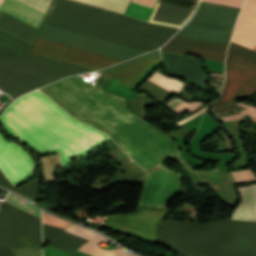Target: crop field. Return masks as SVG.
I'll return each mask as SVG.
<instances>
[{"mask_svg":"<svg viewBox=\"0 0 256 256\" xmlns=\"http://www.w3.org/2000/svg\"><path fill=\"white\" fill-rule=\"evenodd\" d=\"M109 77L100 73L95 85L77 76L68 77L44 88L70 115L107 133L109 136L142 120L127 111L123 98L103 92ZM147 174L172 156L178 144L152 124L142 120L110 136ZM183 175L161 166L147 176L139 206L166 209Z\"/></svg>","mask_w":256,"mask_h":256,"instance_id":"1","label":"crop field"},{"mask_svg":"<svg viewBox=\"0 0 256 256\" xmlns=\"http://www.w3.org/2000/svg\"><path fill=\"white\" fill-rule=\"evenodd\" d=\"M0 121L13 138L36 153L81 124L40 91L17 99L4 111ZM96 130L83 123L38 154L59 152L61 166L91 151L107 138Z\"/></svg>","mask_w":256,"mask_h":256,"instance_id":"2","label":"crop field"},{"mask_svg":"<svg viewBox=\"0 0 256 256\" xmlns=\"http://www.w3.org/2000/svg\"><path fill=\"white\" fill-rule=\"evenodd\" d=\"M43 22L148 51L160 47L178 30L69 0H52Z\"/></svg>","mask_w":256,"mask_h":256,"instance_id":"3","label":"crop field"},{"mask_svg":"<svg viewBox=\"0 0 256 256\" xmlns=\"http://www.w3.org/2000/svg\"><path fill=\"white\" fill-rule=\"evenodd\" d=\"M157 244L183 256H256V223L224 220L185 224L165 220L157 224Z\"/></svg>","mask_w":256,"mask_h":256,"instance_id":"4","label":"crop field"},{"mask_svg":"<svg viewBox=\"0 0 256 256\" xmlns=\"http://www.w3.org/2000/svg\"><path fill=\"white\" fill-rule=\"evenodd\" d=\"M28 47L0 30V89L12 97L61 77L92 71L28 54Z\"/></svg>","mask_w":256,"mask_h":256,"instance_id":"5","label":"crop field"},{"mask_svg":"<svg viewBox=\"0 0 256 256\" xmlns=\"http://www.w3.org/2000/svg\"><path fill=\"white\" fill-rule=\"evenodd\" d=\"M232 41L250 49L256 44V0H246ZM233 42L226 57V81L218 100L211 103L213 109L256 91V52Z\"/></svg>","mask_w":256,"mask_h":256,"instance_id":"6","label":"crop field"},{"mask_svg":"<svg viewBox=\"0 0 256 256\" xmlns=\"http://www.w3.org/2000/svg\"><path fill=\"white\" fill-rule=\"evenodd\" d=\"M238 11L200 2L194 17L176 35L228 44Z\"/></svg>","mask_w":256,"mask_h":256,"instance_id":"7","label":"crop field"},{"mask_svg":"<svg viewBox=\"0 0 256 256\" xmlns=\"http://www.w3.org/2000/svg\"><path fill=\"white\" fill-rule=\"evenodd\" d=\"M0 247L41 249L40 220L4 202L0 210Z\"/></svg>","mask_w":256,"mask_h":256,"instance_id":"8","label":"crop field"},{"mask_svg":"<svg viewBox=\"0 0 256 256\" xmlns=\"http://www.w3.org/2000/svg\"><path fill=\"white\" fill-rule=\"evenodd\" d=\"M36 37L123 60H127L148 52L43 22L36 33Z\"/></svg>","mask_w":256,"mask_h":256,"instance_id":"9","label":"crop field"},{"mask_svg":"<svg viewBox=\"0 0 256 256\" xmlns=\"http://www.w3.org/2000/svg\"><path fill=\"white\" fill-rule=\"evenodd\" d=\"M154 61L160 63V54L158 49L149 54L111 66L99 72L110 76L130 88ZM113 79H110L105 89L106 92L115 93L125 98L126 101L138 95Z\"/></svg>","mask_w":256,"mask_h":256,"instance_id":"10","label":"crop field"},{"mask_svg":"<svg viewBox=\"0 0 256 256\" xmlns=\"http://www.w3.org/2000/svg\"><path fill=\"white\" fill-rule=\"evenodd\" d=\"M32 43L43 45V46H46V47H50V48H53V49H57V50H60V51L75 54V55H78V56H82V57H85V58H89V59H92V60H96V61H99V62L111 64V65H114L116 63H119V62L123 61V60L111 58V57H108V56H104V55H100V54H96V53H92V52L72 48V47H69V46H65V45H62V44L54 43V42L47 41V40L40 39V38H36V37L34 38ZM39 45L32 44L28 52L33 53V54H37V55H41V56H44V57L52 58V59H55V60L67 62V63H70V64L87 67V68H90V69H93V70H97V69H101V68H105V67L110 66V65H106V64H103V63H99V62H96V61H92V60L85 59V58H82V57H78V56H75V55L67 54V53H64V52H60V51L53 50V49H50V48H46V47L39 46Z\"/></svg>","mask_w":256,"mask_h":256,"instance_id":"11","label":"crop field"},{"mask_svg":"<svg viewBox=\"0 0 256 256\" xmlns=\"http://www.w3.org/2000/svg\"><path fill=\"white\" fill-rule=\"evenodd\" d=\"M0 170L17 186L30 177L34 170L32 157L15 143L0 134Z\"/></svg>","mask_w":256,"mask_h":256,"instance_id":"12","label":"crop field"},{"mask_svg":"<svg viewBox=\"0 0 256 256\" xmlns=\"http://www.w3.org/2000/svg\"><path fill=\"white\" fill-rule=\"evenodd\" d=\"M170 211L139 207L136 213L112 215L106 225L156 241L155 228Z\"/></svg>","mask_w":256,"mask_h":256,"instance_id":"13","label":"crop field"},{"mask_svg":"<svg viewBox=\"0 0 256 256\" xmlns=\"http://www.w3.org/2000/svg\"><path fill=\"white\" fill-rule=\"evenodd\" d=\"M227 46L228 45L174 36L161 50L180 54H194L198 57L224 62Z\"/></svg>","mask_w":256,"mask_h":256,"instance_id":"14","label":"crop field"},{"mask_svg":"<svg viewBox=\"0 0 256 256\" xmlns=\"http://www.w3.org/2000/svg\"><path fill=\"white\" fill-rule=\"evenodd\" d=\"M49 3L47 0H5L1 11L38 28Z\"/></svg>","mask_w":256,"mask_h":256,"instance_id":"15","label":"crop field"},{"mask_svg":"<svg viewBox=\"0 0 256 256\" xmlns=\"http://www.w3.org/2000/svg\"><path fill=\"white\" fill-rule=\"evenodd\" d=\"M190 176L193 180L197 190L205 183L209 188H211L214 192L224 185L227 184V181L224 179L223 175L219 171V169L214 166V168L210 171H200L193 170L190 165L185 161L180 149L178 153L172 157Z\"/></svg>","mask_w":256,"mask_h":256,"instance_id":"16","label":"crop field"},{"mask_svg":"<svg viewBox=\"0 0 256 256\" xmlns=\"http://www.w3.org/2000/svg\"><path fill=\"white\" fill-rule=\"evenodd\" d=\"M65 231L89 240L88 242H85L84 244H82V246L78 249V251L88 254L90 256H125L128 254V252L120 248L113 251L101 249L96 244L99 241L108 240V239L100 236L99 234L91 230L78 226L76 224L70 225L68 228L65 229Z\"/></svg>","mask_w":256,"mask_h":256,"instance_id":"17","label":"crop field"},{"mask_svg":"<svg viewBox=\"0 0 256 256\" xmlns=\"http://www.w3.org/2000/svg\"><path fill=\"white\" fill-rule=\"evenodd\" d=\"M85 241L87 240L67 233L63 229L43 225V243L48 246L71 253Z\"/></svg>","mask_w":256,"mask_h":256,"instance_id":"18","label":"crop field"},{"mask_svg":"<svg viewBox=\"0 0 256 256\" xmlns=\"http://www.w3.org/2000/svg\"><path fill=\"white\" fill-rule=\"evenodd\" d=\"M238 189L242 202L232 214L231 219L256 220V185Z\"/></svg>","mask_w":256,"mask_h":256,"instance_id":"19","label":"crop field"},{"mask_svg":"<svg viewBox=\"0 0 256 256\" xmlns=\"http://www.w3.org/2000/svg\"><path fill=\"white\" fill-rule=\"evenodd\" d=\"M0 29L31 43L36 29L0 12Z\"/></svg>","mask_w":256,"mask_h":256,"instance_id":"20","label":"crop field"},{"mask_svg":"<svg viewBox=\"0 0 256 256\" xmlns=\"http://www.w3.org/2000/svg\"><path fill=\"white\" fill-rule=\"evenodd\" d=\"M155 2L156 0H132L125 14L147 21Z\"/></svg>","mask_w":256,"mask_h":256,"instance_id":"21","label":"crop field"},{"mask_svg":"<svg viewBox=\"0 0 256 256\" xmlns=\"http://www.w3.org/2000/svg\"><path fill=\"white\" fill-rule=\"evenodd\" d=\"M38 182H39V179L35 178L32 181L15 189L0 171V185L1 186L9 188L15 192L20 193V194L26 195V196L30 197L31 199H33L34 201L37 200Z\"/></svg>","mask_w":256,"mask_h":256,"instance_id":"22","label":"crop field"},{"mask_svg":"<svg viewBox=\"0 0 256 256\" xmlns=\"http://www.w3.org/2000/svg\"><path fill=\"white\" fill-rule=\"evenodd\" d=\"M109 10L124 13L130 0H76Z\"/></svg>","mask_w":256,"mask_h":256,"instance_id":"23","label":"crop field"},{"mask_svg":"<svg viewBox=\"0 0 256 256\" xmlns=\"http://www.w3.org/2000/svg\"><path fill=\"white\" fill-rule=\"evenodd\" d=\"M6 202L40 218V209L36 208L35 206L27 203L26 201H24L23 199H21L20 197L9 193Z\"/></svg>","mask_w":256,"mask_h":256,"instance_id":"24","label":"crop field"},{"mask_svg":"<svg viewBox=\"0 0 256 256\" xmlns=\"http://www.w3.org/2000/svg\"><path fill=\"white\" fill-rule=\"evenodd\" d=\"M141 89L148 92L151 96H153L159 102L170 94V92H168L167 90L161 88L160 86H158L148 80L144 83V85L141 87Z\"/></svg>","mask_w":256,"mask_h":256,"instance_id":"25","label":"crop field"},{"mask_svg":"<svg viewBox=\"0 0 256 256\" xmlns=\"http://www.w3.org/2000/svg\"><path fill=\"white\" fill-rule=\"evenodd\" d=\"M42 223L52 225L55 227H59V228H63V229H65L66 227H68L70 225V222L59 219V218L49 215L45 212L42 213Z\"/></svg>","mask_w":256,"mask_h":256,"instance_id":"26","label":"crop field"},{"mask_svg":"<svg viewBox=\"0 0 256 256\" xmlns=\"http://www.w3.org/2000/svg\"><path fill=\"white\" fill-rule=\"evenodd\" d=\"M204 2H210L215 4L227 5L232 7L240 8L242 5L243 0H201Z\"/></svg>","mask_w":256,"mask_h":256,"instance_id":"27","label":"crop field"},{"mask_svg":"<svg viewBox=\"0 0 256 256\" xmlns=\"http://www.w3.org/2000/svg\"><path fill=\"white\" fill-rule=\"evenodd\" d=\"M41 250L35 249H21V250H13L14 256H38Z\"/></svg>","mask_w":256,"mask_h":256,"instance_id":"28","label":"crop field"},{"mask_svg":"<svg viewBox=\"0 0 256 256\" xmlns=\"http://www.w3.org/2000/svg\"><path fill=\"white\" fill-rule=\"evenodd\" d=\"M249 171H250L253 179H255L252 171L251 170H249ZM232 174H233L234 179H235L236 182L249 180L244 170L239 171V172H232Z\"/></svg>","mask_w":256,"mask_h":256,"instance_id":"29","label":"crop field"},{"mask_svg":"<svg viewBox=\"0 0 256 256\" xmlns=\"http://www.w3.org/2000/svg\"><path fill=\"white\" fill-rule=\"evenodd\" d=\"M148 80H150V81H152V82H154V83H156V84H158V85H160V86H162L163 88H165V89H167L168 91H170V92H172V93H176V92H178V90H176V89H174V88H172V87H170V86H168V85H166V84H164V83H162V82H160V81H158V80H156V79H154V78H149Z\"/></svg>","mask_w":256,"mask_h":256,"instance_id":"30","label":"crop field"},{"mask_svg":"<svg viewBox=\"0 0 256 256\" xmlns=\"http://www.w3.org/2000/svg\"><path fill=\"white\" fill-rule=\"evenodd\" d=\"M0 256H13L12 251L0 248Z\"/></svg>","mask_w":256,"mask_h":256,"instance_id":"31","label":"crop field"},{"mask_svg":"<svg viewBox=\"0 0 256 256\" xmlns=\"http://www.w3.org/2000/svg\"><path fill=\"white\" fill-rule=\"evenodd\" d=\"M253 50H255V51H256V46L253 48Z\"/></svg>","mask_w":256,"mask_h":256,"instance_id":"32","label":"crop field"},{"mask_svg":"<svg viewBox=\"0 0 256 256\" xmlns=\"http://www.w3.org/2000/svg\"><path fill=\"white\" fill-rule=\"evenodd\" d=\"M127 256H133V255H131V254L129 255V254H128Z\"/></svg>","mask_w":256,"mask_h":256,"instance_id":"33","label":"crop field"},{"mask_svg":"<svg viewBox=\"0 0 256 256\" xmlns=\"http://www.w3.org/2000/svg\"><path fill=\"white\" fill-rule=\"evenodd\" d=\"M71 256H76V255L72 254Z\"/></svg>","mask_w":256,"mask_h":256,"instance_id":"34","label":"crop field"}]
</instances>
